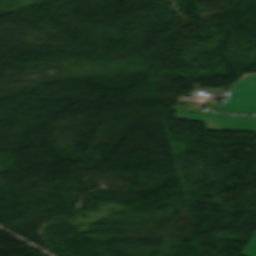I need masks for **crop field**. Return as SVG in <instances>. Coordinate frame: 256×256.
<instances>
[{"label":"crop field","mask_w":256,"mask_h":256,"mask_svg":"<svg viewBox=\"0 0 256 256\" xmlns=\"http://www.w3.org/2000/svg\"><path fill=\"white\" fill-rule=\"evenodd\" d=\"M231 91L223 105L211 108L227 114H256V75L245 76Z\"/></svg>","instance_id":"8a807250"},{"label":"crop field","mask_w":256,"mask_h":256,"mask_svg":"<svg viewBox=\"0 0 256 256\" xmlns=\"http://www.w3.org/2000/svg\"><path fill=\"white\" fill-rule=\"evenodd\" d=\"M208 129L256 132V117H229L204 110Z\"/></svg>","instance_id":"ac0d7876"},{"label":"crop field","mask_w":256,"mask_h":256,"mask_svg":"<svg viewBox=\"0 0 256 256\" xmlns=\"http://www.w3.org/2000/svg\"><path fill=\"white\" fill-rule=\"evenodd\" d=\"M256 235V232L253 233ZM245 256H256V236L250 241L245 250L242 252Z\"/></svg>","instance_id":"34b2d1b8"}]
</instances>
